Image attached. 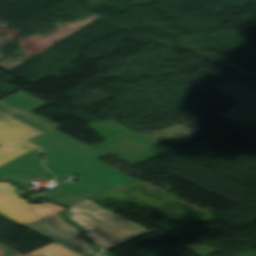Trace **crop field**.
I'll return each mask as SVG.
<instances>
[{
	"label": "crop field",
	"instance_id": "crop-field-4",
	"mask_svg": "<svg viewBox=\"0 0 256 256\" xmlns=\"http://www.w3.org/2000/svg\"><path fill=\"white\" fill-rule=\"evenodd\" d=\"M53 180L54 175L42 166L38 148L0 166V179H9L24 187L35 178Z\"/></svg>",
	"mask_w": 256,
	"mask_h": 256
},
{
	"label": "crop field",
	"instance_id": "crop-field-13",
	"mask_svg": "<svg viewBox=\"0 0 256 256\" xmlns=\"http://www.w3.org/2000/svg\"><path fill=\"white\" fill-rule=\"evenodd\" d=\"M3 116L2 114H0V117Z\"/></svg>",
	"mask_w": 256,
	"mask_h": 256
},
{
	"label": "crop field",
	"instance_id": "crop-field-11",
	"mask_svg": "<svg viewBox=\"0 0 256 256\" xmlns=\"http://www.w3.org/2000/svg\"><path fill=\"white\" fill-rule=\"evenodd\" d=\"M0 190L19 191L18 188L10 185L8 182H0Z\"/></svg>",
	"mask_w": 256,
	"mask_h": 256
},
{
	"label": "crop field",
	"instance_id": "crop-field-10",
	"mask_svg": "<svg viewBox=\"0 0 256 256\" xmlns=\"http://www.w3.org/2000/svg\"><path fill=\"white\" fill-rule=\"evenodd\" d=\"M0 256H22V255L0 245Z\"/></svg>",
	"mask_w": 256,
	"mask_h": 256
},
{
	"label": "crop field",
	"instance_id": "crop-field-1",
	"mask_svg": "<svg viewBox=\"0 0 256 256\" xmlns=\"http://www.w3.org/2000/svg\"><path fill=\"white\" fill-rule=\"evenodd\" d=\"M8 116L43 132L27 140L41 148L45 155L46 168L58 178H67L74 174L83 176L78 183L56 185L31 196L32 199L45 196L58 204L73 205L132 180L122 172L96 160L106 154L17 111Z\"/></svg>",
	"mask_w": 256,
	"mask_h": 256
},
{
	"label": "crop field",
	"instance_id": "crop-field-6",
	"mask_svg": "<svg viewBox=\"0 0 256 256\" xmlns=\"http://www.w3.org/2000/svg\"><path fill=\"white\" fill-rule=\"evenodd\" d=\"M0 214L22 225L41 219L31 213L29 204L15 193L0 192Z\"/></svg>",
	"mask_w": 256,
	"mask_h": 256
},
{
	"label": "crop field",
	"instance_id": "crop-field-9",
	"mask_svg": "<svg viewBox=\"0 0 256 256\" xmlns=\"http://www.w3.org/2000/svg\"><path fill=\"white\" fill-rule=\"evenodd\" d=\"M64 208L61 206H55L52 204H47V203H43V204H38V205H30V211L39 215L40 217H45L47 215H50L52 213L58 212L63 210Z\"/></svg>",
	"mask_w": 256,
	"mask_h": 256
},
{
	"label": "crop field",
	"instance_id": "crop-field-5",
	"mask_svg": "<svg viewBox=\"0 0 256 256\" xmlns=\"http://www.w3.org/2000/svg\"><path fill=\"white\" fill-rule=\"evenodd\" d=\"M38 132L6 116L0 118V165L36 148L22 139Z\"/></svg>",
	"mask_w": 256,
	"mask_h": 256
},
{
	"label": "crop field",
	"instance_id": "crop-field-7",
	"mask_svg": "<svg viewBox=\"0 0 256 256\" xmlns=\"http://www.w3.org/2000/svg\"><path fill=\"white\" fill-rule=\"evenodd\" d=\"M1 103L15 109V110H18L46 125H49L51 127H54V128H59L61 126L57 125V124H54L30 111L46 104L45 102L23 92V91H20L10 97H7L3 100L0 101Z\"/></svg>",
	"mask_w": 256,
	"mask_h": 256
},
{
	"label": "crop field",
	"instance_id": "crop-field-8",
	"mask_svg": "<svg viewBox=\"0 0 256 256\" xmlns=\"http://www.w3.org/2000/svg\"><path fill=\"white\" fill-rule=\"evenodd\" d=\"M24 256H78L65 248L52 243L42 248L23 254Z\"/></svg>",
	"mask_w": 256,
	"mask_h": 256
},
{
	"label": "crop field",
	"instance_id": "crop-field-2",
	"mask_svg": "<svg viewBox=\"0 0 256 256\" xmlns=\"http://www.w3.org/2000/svg\"><path fill=\"white\" fill-rule=\"evenodd\" d=\"M69 211L100 214L107 210L84 200ZM68 217L89 231L87 234L93 238L94 245L103 252L150 232L109 211L101 216L69 214Z\"/></svg>",
	"mask_w": 256,
	"mask_h": 256
},
{
	"label": "crop field",
	"instance_id": "crop-field-12",
	"mask_svg": "<svg viewBox=\"0 0 256 256\" xmlns=\"http://www.w3.org/2000/svg\"><path fill=\"white\" fill-rule=\"evenodd\" d=\"M13 111H15V110H13V109H11V108H9V107H7V106H4V105H2V104H0V112L1 113H3V114H8V113H10V112H13Z\"/></svg>",
	"mask_w": 256,
	"mask_h": 256
},
{
	"label": "crop field",
	"instance_id": "crop-field-3",
	"mask_svg": "<svg viewBox=\"0 0 256 256\" xmlns=\"http://www.w3.org/2000/svg\"><path fill=\"white\" fill-rule=\"evenodd\" d=\"M80 256L97 255L79 230L63 221L60 212L25 226Z\"/></svg>",
	"mask_w": 256,
	"mask_h": 256
}]
</instances>
